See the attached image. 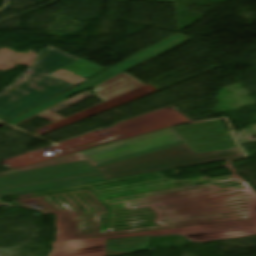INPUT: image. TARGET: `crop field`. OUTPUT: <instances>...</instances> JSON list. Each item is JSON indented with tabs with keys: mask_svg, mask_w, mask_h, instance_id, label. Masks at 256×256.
Instances as JSON below:
<instances>
[{
	"mask_svg": "<svg viewBox=\"0 0 256 256\" xmlns=\"http://www.w3.org/2000/svg\"><path fill=\"white\" fill-rule=\"evenodd\" d=\"M94 64L53 47L42 50L29 67L33 71L23 73L19 83L0 94V120L6 122L73 86L48 75L54 70L63 67L88 79L106 69Z\"/></svg>",
	"mask_w": 256,
	"mask_h": 256,
	"instance_id": "crop-field-2",
	"label": "crop field"
},
{
	"mask_svg": "<svg viewBox=\"0 0 256 256\" xmlns=\"http://www.w3.org/2000/svg\"><path fill=\"white\" fill-rule=\"evenodd\" d=\"M143 62H145V61L133 57V58H131V59H129V60L111 68V69H109L108 71L98 75L97 77L87 81L86 83L76 87L75 89H73V90H71V91H69V92H67V93H65V94H63V95L45 103L43 105H41L40 107H38V108L20 116V117H18V118L14 119L10 122H8L7 124L14 125L18 122H21V121L26 120L30 117H33V116L47 110L48 108L52 107L53 105L69 98L73 94L80 93L84 90L90 89V88H92V87H94V86H96V85H98V84H100V83H102V82L120 74L121 72H124V71H126V70H128V69H130V68H132V67H134L138 64H141Z\"/></svg>",
	"mask_w": 256,
	"mask_h": 256,
	"instance_id": "crop-field-3",
	"label": "crop field"
},
{
	"mask_svg": "<svg viewBox=\"0 0 256 256\" xmlns=\"http://www.w3.org/2000/svg\"><path fill=\"white\" fill-rule=\"evenodd\" d=\"M165 1H173V0H165Z\"/></svg>",
	"mask_w": 256,
	"mask_h": 256,
	"instance_id": "crop-field-8",
	"label": "crop field"
},
{
	"mask_svg": "<svg viewBox=\"0 0 256 256\" xmlns=\"http://www.w3.org/2000/svg\"><path fill=\"white\" fill-rule=\"evenodd\" d=\"M0 206H4V205L0 203Z\"/></svg>",
	"mask_w": 256,
	"mask_h": 256,
	"instance_id": "crop-field-9",
	"label": "crop field"
},
{
	"mask_svg": "<svg viewBox=\"0 0 256 256\" xmlns=\"http://www.w3.org/2000/svg\"><path fill=\"white\" fill-rule=\"evenodd\" d=\"M220 121L169 128L0 174V198L242 157Z\"/></svg>",
	"mask_w": 256,
	"mask_h": 256,
	"instance_id": "crop-field-1",
	"label": "crop field"
},
{
	"mask_svg": "<svg viewBox=\"0 0 256 256\" xmlns=\"http://www.w3.org/2000/svg\"><path fill=\"white\" fill-rule=\"evenodd\" d=\"M150 242H151V237L110 242L109 252H110V255L116 256V255L134 253L142 250H148Z\"/></svg>",
	"mask_w": 256,
	"mask_h": 256,
	"instance_id": "crop-field-5",
	"label": "crop field"
},
{
	"mask_svg": "<svg viewBox=\"0 0 256 256\" xmlns=\"http://www.w3.org/2000/svg\"><path fill=\"white\" fill-rule=\"evenodd\" d=\"M39 116L44 118V119H46V120H48V121H50V122H52V123H54V122H56L58 120L63 119L62 117H60V116H58V115H56V114H54V113H52L50 111L45 112V113H43V114H41Z\"/></svg>",
	"mask_w": 256,
	"mask_h": 256,
	"instance_id": "crop-field-7",
	"label": "crop field"
},
{
	"mask_svg": "<svg viewBox=\"0 0 256 256\" xmlns=\"http://www.w3.org/2000/svg\"><path fill=\"white\" fill-rule=\"evenodd\" d=\"M144 85L126 73L94 88V94L107 101L125 92ZM104 101V102H105Z\"/></svg>",
	"mask_w": 256,
	"mask_h": 256,
	"instance_id": "crop-field-4",
	"label": "crop field"
},
{
	"mask_svg": "<svg viewBox=\"0 0 256 256\" xmlns=\"http://www.w3.org/2000/svg\"><path fill=\"white\" fill-rule=\"evenodd\" d=\"M2 123H0V125H1Z\"/></svg>",
	"mask_w": 256,
	"mask_h": 256,
	"instance_id": "crop-field-10",
	"label": "crop field"
},
{
	"mask_svg": "<svg viewBox=\"0 0 256 256\" xmlns=\"http://www.w3.org/2000/svg\"><path fill=\"white\" fill-rule=\"evenodd\" d=\"M187 41L181 34H175L164 41L156 44L155 46L145 50L144 52L136 55L135 57L143 59L145 61Z\"/></svg>",
	"mask_w": 256,
	"mask_h": 256,
	"instance_id": "crop-field-6",
	"label": "crop field"
}]
</instances>
